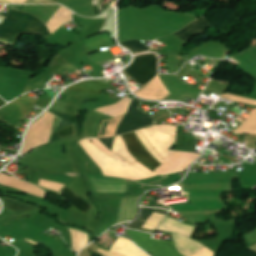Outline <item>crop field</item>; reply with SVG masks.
Returning a JSON list of instances; mask_svg holds the SVG:
<instances>
[{"label":"crop field","mask_w":256,"mask_h":256,"mask_svg":"<svg viewBox=\"0 0 256 256\" xmlns=\"http://www.w3.org/2000/svg\"><path fill=\"white\" fill-rule=\"evenodd\" d=\"M142 103L143 101L137 99L132 100L126 116L118 127L116 135L132 132L156 124L155 120L150 115L137 108Z\"/></svg>","instance_id":"crop-field-5"},{"label":"crop field","mask_w":256,"mask_h":256,"mask_svg":"<svg viewBox=\"0 0 256 256\" xmlns=\"http://www.w3.org/2000/svg\"><path fill=\"white\" fill-rule=\"evenodd\" d=\"M137 199L138 197L121 199L120 211L116 224L133 220Z\"/></svg>","instance_id":"crop-field-13"},{"label":"crop field","mask_w":256,"mask_h":256,"mask_svg":"<svg viewBox=\"0 0 256 256\" xmlns=\"http://www.w3.org/2000/svg\"><path fill=\"white\" fill-rule=\"evenodd\" d=\"M234 134H256V111L236 130Z\"/></svg>","instance_id":"crop-field-17"},{"label":"crop field","mask_w":256,"mask_h":256,"mask_svg":"<svg viewBox=\"0 0 256 256\" xmlns=\"http://www.w3.org/2000/svg\"><path fill=\"white\" fill-rule=\"evenodd\" d=\"M106 256H148L135 247L129 240L120 237L111 251L97 250Z\"/></svg>","instance_id":"crop-field-9"},{"label":"crop field","mask_w":256,"mask_h":256,"mask_svg":"<svg viewBox=\"0 0 256 256\" xmlns=\"http://www.w3.org/2000/svg\"><path fill=\"white\" fill-rule=\"evenodd\" d=\"M123 72L141 86L156 76L158 72V55L148 53L136 56L133 64Z\"/></svg>","instance_id":"crop-field-2"},{"label":"crop field","mask_w":256,"mask_h":256,"mask_svg":"<svg viewBox=\"0 0 256 256\" xmlns=\"http://www.w3.org/2000/svg\"><path fill=\"white\" fill-rule=\"evenodd\" d=\"M124 47L131 50L134 54L140 53V52H147L150 50L148 47H146L143 43L139 41H127L121 43Z\"/></svg>","instance_id":"crop-field-19"},{"label":"crop field","mask_w":256,"mask_h":256,"mask_svg":"<svg viewBox=\"0 0 256 256\" xmlns=\"http://www.w3.org/2000/svg\"><path fill=\"white\" fill-rule=\"evenodd\" d=\"M107 87H108V85L103 84L101 82L87 81L85 83L72 85V86L68 87L67 90L90 92V93L100 95V93L102 91H104Z\"/></svg>","instance_id":"crop-field-14"},{"label":"crop field","mask_w":256,"mask_h":256,"mask_svg":"<svg viewBox=\"0 0 256 256\" xmlns=\"http://www.w3.org/2000/svg\"><path fill=\"white\" fill-rule=\"evenodd\" d=\"M0 183L26 191L32 195H36L39 197H43L45 194V191L28 182L19 180L13 176L10 178L2 173L0 174Z\"/></svg>","instance_id":"crop-field-11"},{"label":"crop field","mask_w":256,"mask_h":256,"mask_svg":"<svg viewBox=\"0 0 256 256\" xmlns=\"http://www.w3.org/2000/svg\"><path fill=\"white\" fill-rule=\"evenodd\" d=\"M23 118L22 108L16 103H10L6 107L0 109V120L14 128Z\"/></svg>","instance_id":"crop-field-10"},{"label":"crop field","mask_w":256,"mask_h":256,"mask_svg":"<svg viewBox=\"0 0 256 256\" xmlns=\"http://www.w3.org/2000/svg\"><path fill=\"white\" fill-rule=\"evenodd\" d=\"M127 235L152 256H182L177 252L173 242L152 240L150 234L136 230L127 229Z\"/></svg>","instance_id":"crop-field-3"},{"label":"crop field","mask_w":256,"mask_h":256,"mask_svg":"<svg viewBox=\"0 0 256 256\" xmlns=\"http://www.w3.org/2000/svg\"><path fill=\"white\" fill-rule=\"evenodd\" d=\"M136 134L141 141V143L145 146V148L151 153V155L156 158L158 161L162 162V158L158 155V153L153 149V147L148 143V141L141 135L139 131H136Z\"/></svg>","instance_id":"crop-field-21"},{"label":"crop field","mask_w":256,"mask_h":256,"mask_svg":"<svg viewBox=\"0 0 256 256\" xmlns=\"http://www.w3.org/2000/svg\"><path fill=\"white\" fill-rule=\"evenodd\" d=\"M55 115L50 112L30 126L25 139V146L22 152H26L49 141Z\"/></svg>","instance_id":"crop-field-4"},{"label":"crop field","mask_w":256,"mask_h":256,"mask_svg":"<svg viewBox=\"0 0 256 256\" xmlns=\"http://www.w3.org/2000/svg\"><path fill=\"white\" fill-rule=\"evenodd\" d=\"M21 33L50 35L45 23L20 11L10 9L2 25H0V42L13 46ZM21 36V35H20Z\"/></svg>","instance_id":"crop-field-1"},{"label":"crop field","mask_w":256,"mask_h":256,"mask_svg":"<svg viewBox=\"0 0 256 256\" xmlns=\"http://www.w3.org/2000/svg\"><path fill=\"white\" fill-rule=\"evenodd\" d=\"M112 151L123 156L130 164L136 161L134 157L127 151L126 145L121 136L115 137Z\"/></svg>","instance_id":"crop-field-18"},{"label":"crop field","mask_w":256,"mask_h":256,"mask_svg":"<svg viewBox=\"0 0 256 256\" xmlns=\"http://www.w3.org/2000/svg\"><path fill=\"white\" fill-rule=\"evenodd\" d=\"M6 102H4V101H2L1 99H0V106H2V105H4Z\"/></svg>","instance_id":"crop-field-26"},{"label":"crop field","mask_w":256,"mask_h":256,"mask_svg":"<svg viewBox=\"0 0 256 256\" xmlns=\"http://www.w3.org/2000/svg\"><path fill=\"white\" fill-rule=\"evenodd\" d=\"M215 253L211 252L208 248H203L200 251H198L197 253L193 254L192 256H214Z\"/></svg>","instance_id":"crop-field-24"},{"label":"crop field","mask_w":256,"mask_h":256,"mask_svg":"<svg viewBox=\"0 0 256 256\" xmlns=\"http://www.w3.org/2000/svg\"><path fill=\"white\" fill-rule=\"evenodd\" d=\"M208 27H210V25L208 24L206 19L203 17L199 20L192 22L189 26L175 33V35L187 42V40L190 38L191 35L204 33Z\"/></svg>","instance_id":"crop-field-12"},{"label":"crop field","mask_w":256,"mask_h":256,"mask_svg":"<svg viewBox=\"0 0 256 256\" xmlns=\"http://www.w3.org/2000/svg\"><path fill=\"white\" fill-rule=\"evenodd\" d=\"M59 194L84 213L93 208L66 186L61 190Z\"/></svg>","instance_id":"crop-field-16"},{"label":"crop field","mask_w":256,"mask_h":256,"mask_svg":"<svg viewBox=\"0 0 256 256\" xmlns=\"http://www.w3.org/2000/svg\"><path fill=\"white\" fill-rule=\"evenodd\" d=\"M97 192L124 193L127 180L105 176L91 177Z\"/></svg>","instance_id":"crop-field-8"},{"label":"crop field","mask_w":256,"mask_h":256,"mask_svg":"<svg viewBox=\"0 0 256 256\" xmlns=\"http://www.w3.org/2000/svg\"><path fill=\"white\" fill-rule=\"evenodd\" d=\"M129 102H130V99L126 97L115 105L105 106L102 108H98L96 110L102 113H105L113 118H116L118 116H122L125 114L128 108Z\"/></svg>","instance_id":"crop-field-15"},{"label":"crop field","mask_w":256,"mask_h":256,"mask_svg":"<svg viewBox=\"0 0 256 256\" xmlns=\"http://www.w3.org/2000/svg\"><path fill=\"white\" fill-rule=\"evenodd\" d=\"M58 134L60 137L64 136H70V135H75V125L68 126L60 131H58Z\"/></svg>","instance_id":"crop-field-22"},{"label":"crop field","mask_w":256,"mask_h":256,"mask_svg":"<svg viewBox=\"0 0 256 256\" xmlns=\"http://www.w3.org/2000/svg\"><path fill=\"white\" fill-rule=\"evenodd\" d=\"M92 143L98 147L100 150L105 152L106 154L112 156V152L99 140V139H90Z\"/></svg>","instance_id":"crop-field-23"},{"label":"crop field","mask_w":256,"mask_h":256,"mask_svg":"<svg viewBox=\"0 0 256 256\" xmlns=\"http://www.w3.org/2000/svg\"><path fill=\"white\" fill-rule=\"evenodd\" d=\"M200 154L177 152L169 150L163 163L154 172L164 175L173 172L183 171L189 166Z\"/></svg>","instance_id":"crop-field-6"},{"label":"crop field","mask_w":256,"mask_h":256,"mask_svg":"<svg viewBox=\"0 0 256 256\" xmlns=\"http://www.w3.org/2000/svg\"><path fill=\"white\" fill-rule=\"evenodd\" d=\"M37 100H33L32 98H30L27 94L16 99L14 102H20L24 111H25V117L27 114H29V112L31 111V109L33 108V106L35 105Z\"/></svg>","instance_id":"crop-field-20"},{"label":"crop field","mask_w":256,"mask_h":256,"mask_svg":"<svg viewBox=\"0 0 256 256\" xmlns=\"http://www.w3.org/2000/svg\"><path fill=\"white\" fill-rule=\"evenodd\" d=\"M123 138L126 142L128 151L145 167L153 171L161 164L149 154V152L137 139L134 132L123 135Z\"/></svg>","instance_id":"crop-field-7"},{"label":"crop field","mask_w":256,"mask_h":256,"mask_svg":"<svg viewBox=\"0 0 256 256\" xmlns=\"http://www.w3.org/2000/svg\"><path fill=\"white\" fill-rule=\"evenodd\" d=\"M110 150L112 149V144L114 137L107 138V139H100Z\"/></svg>","instance_id":"crop-field-25"}]
</instances>
